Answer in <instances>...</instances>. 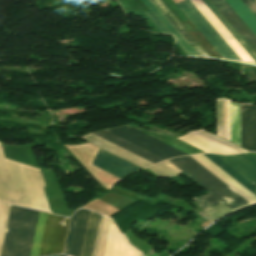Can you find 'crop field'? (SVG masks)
<instances>
[{
	"label": "crop field",
	"instance_id": "obj_1",
	"mask_svg": "<svg viewBox=\"0 0 256 256\" xmlns=\"http://www.w3.org/2000/svg\"><path fill=\"white\" fill-rule=\"evenodd\" d=\"M12 162L4 159L0 144V201L51 212L43 190L45 184L40 170L13 162L27 206Z\"/></svg>",
	"mask_w": 256,
	"mask_h": 256
},
{
	"label": "crop field",
	"instance_id": "obj_2",
	"mask_svg": "<svg viewBox=\"0 0 256 256\" xmlns=\"http://www.w3.org/2000/svg\"><path fill=\"white\" fill-rule=\"evenodd\" d=\"M183 173L201 185L210 193L203 196L214 207L223 203L232 211L251 205L230 187L208 172L190 156L178 157L169 160Z\"/></svg>",
	"mask_w": 256,
	"mask_h": 256
},
{
	"label": "crop field",
	"instance_id": "obj_3",
	"mask_svg": "<svg viewBox=\"0 0 256 256\" xmlns=\"http://www.w3.org/2000/svg\"><path fill=\"white\" fill-rule=\"evenodd\" d=\"M39 212L10 207L1 256H29Z\"/></svg>",
	"mask_w": 256,
	"mask_h": 256
},
{
	"label": "crop field",
	"instance_id": "obj_4",
	"mask_svg": "<svg viewBox=\"0 0 256 256\" xmlns=\"http://www.w3.org/2000/svg\"><path fill=\"white\" fill-rule=\"evenodd\" d=\"M126 127L146 136L149 137L183 155H188V154H197V153H204V151L178 139L174 138L172 136L162 134L159 132L147 130V129H142L130 125H126ZM124 126L122 127H117V128H111V129H106L107 131L133 143L136 144L164 159H168L174 156H182Z\"/></svg>",
	"mask_w": 256,
	"mask_h": 256
},
{
	"label": "crop field",
	"instance_id": "obj_5",
	"mask_svg": "<svg viewBox=\"0 0 256 256\" xmlns=\"http://www.w3.org/2000/svg\"><path fill=\"white\" fill-rule=\"evenodd\" d=\"M69 218L40 212L30 256L62 253Z\"/></svg>",
	"mask_w": 256,
	"mask_h": 256
},
{
	"label": "crop field",
	"instance_id": "obj_6",
	"mask_svg": "<svg viewBox=\"0 0 256 256\" xmlns=\"http://www.w3.org/2000/svg\"><path fill=\"white\" fill-rule=\"evenodd\" d=\"M190 1L201 12V14L214 27V29L220 34V36L227 42V44L233 49V51L240 57L242 61L256 64L255 54L248 48V46L241 40V38L233 31V29L226 23V21L219 15V13L212 7V5L207 0H203V1L220 19V21L226 26V28L231 32V34L249 53V55L255 60V62L202 0H190Z\"/></svg>",
	"mask_w": 256,
	"mask_h": 256
},
{
	"label": "crop field",
	"instance_id": "obj_7",
	"mask_svg": "<svg viewBox=\"0 0 256 256\" xmlns=\"http://www.w3.org/2000/svg\"><path fill=\"white\" fill-rule=\"evenodd\" d=\"M179 8L222 58L241 61L239 57L232 51V49L225 43V41L218 35V33L212 28V26L205 20V18L198 12V10L191 4V2L181 5Z\"/></svg>",
	"mask_w": 256,
	"mask_h": 256
},
{
	"label": "crop field",
	"instance_id": "obj_8",
	"mask_svg": "<svg viewBox=\"0 0 256 256\" xmlns=\"http://www.w3.org/2000/svg\"><path fill=\"white\" fill-rule=\"evenodd\" d=\"M100 215L91 211L82 256H90ZM111 219L101 215L91 256H103Z\"/></svg>",
	"mask_w": 256,
	"mask_h": 256
},
{
	"label": "crop field",
	"instance_id": "obj_9",
	"mask_svg": "<svg viewBox=\"0 0 256 256\" xmlns=\"http://www.w3.org/2000/svg\"><path fill=\"white\" fill-rule=\"evenodd\" d=\"M179 138L206 152L218 154H236L246 152V150L203 130L191 131L187 135Z\"/></svg>",
	"mask_w": 256,
	"mask_h": 256
},
{
	"label": "crop field",
	"instance_id": "obj_10",
	"mask_svg": "<svg viewBox=\"0 0 256 256\" xmlns=\"http://www.w3.org/2000/svg\"><path fill=\"white\" fill-rule=\"evenodd\" d=\"M93 164L121 179L140 169L102 149H99Z\"/></svg>",
	"mask_w": 256,
	"mask_h": 256
},
{
	"label": "crop field",
	"instance_id": "obj_11",
	"mask_svg": "<svg viewBox=\"0 0 256 256\" xmlns=\"http://www.w3.org/2000/svg\"><path fill=\"white\" fill-rule=\"evenodd\" d=\"M256 52V36L225 0H210Z\"/></svg>",
	"mask_w": 256,
	"mask_h": 256
},
{
	"label": "crop field",
	"instance_id": "obj_12",
	"mask_svg": "<svg viewBox=\"0 0 256 256\" xmlns=\"http://www.w3.org/2000/svg\"><path fill=\"white\" fill-rule=\"evenodd\" d=\"M242 147L256 151V107L241 105Z\"/></svg>",
	"mask_w": 256,
	"mask_h": 256
},
{
	"label": "crop field",
	"instance_id": "obj_13",
	"mask_svg": "<svg viewBox=\"0 0 256 256\" xmlns=\"http://www.w3.org/2000/svg\"><path fill=\"white\" fill-rule=\"evenodd\" d=\"M218 157L256 186V159L255 158H253L248 153L235 155V156H218Z\"/></svg>",
	"mask_w": 256,
	"mask_h": 256
},
{
	"label": "crop field",
	"instance_id": "obj_14",
	"mask_svg": "<svg viewBox=\"0 0 256 256\" xmlns=\"http://www.w3.org/2000/svg\"><path fill=\"white\" fill-rule=\"evenodd\" d=\"M203 160H205L207 163H209L212 167H214L217 171H219L221 174H223L226 178H228L231 182H233L235 185H237L240 189H242L245 193H247L249 196H251L254 200H256V196L251 193L249 190H247L244 186H242L239 182H237L235 179H233L230 175H228L225 171H223L221 168H219L216 164H214L212 161H210L207 157H205L203 154H199ZM197 155L191 156L195 160H197L200 164H202L204 167H206L209 171H211L213 174H215L218 178H220L222 181H224L227 185H229L231 188H233L236 192H238L240 195H242L245 199H247L252 204L256 203L251 197H249L247 194H245L242 190H240L237 186H235L233 183H231L228 179H226L223 175H221L219 172H217L214 168H212L209 164H207L205 161H203L200 157Z\"/></svg>",
	"mask_w": 256,
	"mask_h": 256
},
{
	"label": "crop field",
	"instance_id": "obj_15",
	"mask_svg": "<svg viewBox=\"0 0 256 256\" xmlns=\"http://www.w3.org/2000/svg\"><path fill=\"white\" fill-rule=\"evenodd\" d=\"M82 138H84V139H86V140H88V141H90V142H92V143H94V144H96V145H98V146H100V147H102V148H104V149H106V150H108V151H110V152H112V153H114V154H116V155H118V156H120V157L138 165V166H140V167H142V168L153 164V163H151V162H149V161H147V160H145V159H143V158H141V157H139L135 154H132V153H130V152L114 145V144H111V143H109V142H107V141H105V140H103V139H101V138H99V137H97L93 134H88V135H86Z\"/></svg>",
	"mask_w": 256,
	"mask_h": 256
},
{
	"label": "crop field",
	"instance_id": "obj_16",
	"mask_svg": "<svg viewBox=\"0 0 256 256\" xmlns=\"http://www.w3.org/2000/svg\"><path fill=\"white\" fill-rule=\"evenodd\" d=\"M93 134H95V135H97V136H99V137H101V138H103V139H105V140H107L111 143H114V144H116V145H118V146L132 152V153H135V154H137V155H139V156H141V157H143V158H145V159H147V160H149L153 163L164 160V159H162V158H160V157H158V156H156V155H154V154H152V153H150V152H148V151H146V150H144V149H142V148H140L136 145H133V144H131V143H129V142H127V141H125V140H123V139L105 131V130L98 131V132H95Z\"/></svg>",
	"mask_w": 256,
	"mask_h": 256
},
{
	"label": "crop field",
	"instance_id": "obj_17",
	"mask_svg": "<svg viewBox=\"0 0 256 256\" xmlns=\"http://www.w3.org/2000/svg\"><path fill=\"white\" fill-rule=\"evenodd\" d=\"M89 213V210L80 209L72 249L70 253L71 256H81Z\"/></svg>",
	"mask_w": 256,
	"mask_h": 256
},
{
	"label": "crop field",
	"instance_id": "obj_18",
	"mask_svg": "<svg viewBox=\"0 0 256 256\" xmlns=\"http://www.w3.org/2000/svg\"><path fill=\"white\" fill-rule=\"evenodd\" d=\"M142 1L165 24V26L175 35L177 41L181 44V46L186 50V52L189 55L199 56L196 53V51L189 45V43L182 37V35L175 29V27L168 21V19L161 13V11L154 5V3L151 0H142Z\"/></svg>",
	"mask_w": 256,
	"mask_h": 256
},
{
	"label": "crop field",
	"instance_id": "obj_19",
	"mask_svg": "<svg viewBox=\"0 0 256 256\" xmlns=\"http://www.w3.org/2000/svg\"><path fill=\"white\" fill-rule=\"evenodd\" d=\"M217 135L229 140L228 101L217 100Z\"/></svg>",
	"mask_w": 256,
	"mask_h": 256
},
{
	"label": "crop field",
	"instance_id": "obj_20",
	"mask_svg": "<svg viewBox=\"0 0 256 256\" xmlns=\"http://www.w3.org/2000/svg\"><path fill=\"white\" fill-rule=\"evenodd\" d=\"M194 201L203 209L202 211L198 212L201 215L207 217L208 219L215 221L219 219L220 217L232 212L229 210L226 206L223 204L214 208L209 203H207L204 199L201 197L193 198Z\"/></svg>",
	"mask_w": 256,
	"mask_h": 256
},
{
	"label": "crop field",
	"instance_id": "obj_21",
	"mask_svg": "<svg viewBox=\"0 0 256 256\" xmlns=\"http://www.w3.org/2000/svg\"><path fill=\"white\" fill-rule=\"evenodd\" d=\"M230 6L237 12V14L244 20V22L256 34V18L245 7L240 0H226Z\"/></svg>",
	"mask_w": 256,
	"mask_h": 256
},
{
	"label": "crop field",
	"instance_id": "obj_22",
	"mask_svg": "<svg viewBox=\"0 0 256 256\" xmlns=\"http://www.w3.org/2000/svg\"><path fill=\"white\" fill-rule=\"evenodd\" d=\"M155 4L157 2V4L160 6L162 5L166 10L167 8L161 3L160 0H152ZM156 4V5H157ZM157 5V7L164 13V15L172 22V24L180 31V33L188 40V42L191 44V45H196V46H199L196 41L187 33V31L179 24V22L173 17V15L167 10V12L177 21V23L182 27H180L176 21L166 12V10L161 6L159 7ZM196 46H193L194 49L199 53L200 56H208L205 51L201 48V47H196Z\"/></svg>",
	"mask_w": 256,
	"mask_h": 256
},
{
	"label": "crop field",
	"instance_id": "obj_23",
	"mask_svg": "<svg viewBox=\"0 0 256 256\" xmlns=\"http://www.w3.org/2000/svg\"><path fill=\"white\" fill-rule=\"evenodd\" d=\"M206 155L208 158H210L213 162H215L218 166H220L222 169H224L227 173H229L231 176H233L236 180H238L241 184H243L245 187H247L250 191H252L255 195H256V187H254L252 184H250L247 180H245L242 176H240L237 172H235L233 169H231L228 165H226L223 161H221L218 157H216L215 155H210V154H204ZM205 156V157H206ZM209 159V160H210ZM210 160V161H211ZM214 163V164H215ZM219 167V168H220ZM223 170V171H224ZM228 174V175H229ZM233 178V179H234ZM237 181V182H238ZM242 185V186H243ZM246 188V189H247ZM247 189V190H248ZM251 192V193H252Z\"/></svg>",
	"mask_w": 256,
	"mask_h": 256
},
{
	"label": "crop field",
	"instance_id": "obj_24",
	"mask_svg": "<svg viewBox=\"0 0 256 256\" xmlns=\"http://www.w3.org/2000/svg\"><path fill=\"white\" fill-rule=\"evenodd\" d=\"M152 171H154L159 176H175L179 172H181L179 169H177L172 163H170L168 160L158 163L152 167H149Z\"/></svg>",
	"mask_w": 256,
	"mask_h": 256
},
{
	"label": "crop field",
	"instance_id": "obj_25",
	"mask_svg": "<svg viewBox=\"0 0 256 256\" xmlns=\"http://www.w3.org/2000/svg\"><path fill=\"white\" fill-rule=\"evenodd\" d=\"M10 205L1 203L0 205V254L7 223V217Z\"/></svg>",
	"mask_w": 256,
	"mask_h": 256
},
{
	"label": "crop field",
	"instance_id": "obj_26",
	"mask_svg": "<svg viewBox=\"0 0 256 256\" xmlns=\"http://www.w3.org/2000/svg\"><path fill=\"white\" fill-rule=\"evenodd\" d=\"M78 212H79V210L71 217V220H70L68 236H67V241H66V246H65V251H64V253L68 254V255H69L70 249H71V244H72V239H73L74 230H75V226H76Z\"/></svg>",
	"mask_w": 256,
	"mask_h": 256
},
{
	"label": "crop field",
	"instance_id": "obj_27",
	"mask_svg": "<svg viewBox=\"0 0 256 256\" xmlns=\"http://www.w3.org/2000/svg\"><path fill=\"white\" fill-rule=\"evenodd\" d=\"M146 13L150 17V19L155 23V25L159 28L161 34H172L152 12Z\"/></svg>",
	"mask_w": 256,
	"mask_h": 256
},
{
	"label": "crop field",
	"instance_id": "obj_28",
	"mask_svg": "<svg viewBox=\"0 0 256 256\" xmlns=\"http://www.w3.org/2000/svg\"><path fill=\"white\" fill-rule=\"evenodd\" d=\"M248 9L256 6V0H241ZM250 11L253 13V15L256 17V7L250 9Z\"/></svg>",
	"mask_w": 256,
	"mask_h": 256
},
{
	"label": "crop field",
	"instance_id": "obj_29",
	"mask_svg": "<svg viewBox=\"0 0 256 256\" xmlns=\"http://www.w3.org/2000/svg\"><path fill=\"white\" fill-rule=\"evenodd\" d=\"M58 256H65V255H58Z\"/></svg>",
	"mask_w": 256,
	"mask_h": 256
},
{
	"label": "crop field",
	"instance_id": "obj_30",
	"mask_svg": "<svg viewBox=\"0 0 256 256\" xmlns=\"http://www.w3.org/2000/svg\"><path fill=\"white\" fill-rule=\"evenodd\" d=\"M54 256H57V255H54Z\"/></svg>",
	"mask_w": 256,
	"mask_h": 256
}]
</instances>
